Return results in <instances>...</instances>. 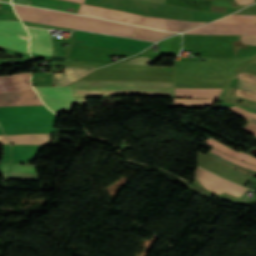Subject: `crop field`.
<instances>
[{
	"mask_svg": "<svg viewBox=\"0 0 256 256\" xmlns=\"http://www.w3.org/2000/svg\"><path fill=\"white\" fill-rule=\"evenodd\" d=\"M21 20L130 37L134 26L97 18L13 5Z\"/></svg>",
	"mask_w": 256,
	"mask_h": 256,
	"instance_id": "obj_1",
	"label": "crop field"
},
{
	"mask_svg": "<svg viewBox=\"0 0 256 256\" xmlns=\"http://www.w3.org/2000/svg\"><path fill=\"white\" fill-rule=\"evenodd\" d=\"M70 85L74 97H99L122 94L168 97H173L174 95V83L166 82L77 81Z\"/></svg>",
	"mask_w": 256,
	"mask_h": 256,
	"instance_id": "obj_2",
	"label": "crop field"
},
{
	"mask_svg": "<svg viewBox=\"0 0 256 256\" xmlns=\"http://www.w3.org/2000/svg\"><path fill=\"white\" fill-rule=\"evenodd\" d=\"M78 14L97 16L113 21L130 23L174 32H181L189 28L203 24L201 22L171 21L165 19L152 18L143 15L104 9L83 4L80 5Z\"/></svg>",
	"mask_w": 256,
	"mask_h": 256,
	"instance_id": "obj_3",
	"label": "crop field"
},
{
	"mask_svg": "<svg viewBox=\"0 0 256 256\" xmlns=\"http://www.w3.org/2000/svg\"><path fill=\"white\" fill-rule=\"evenodd\" d=\"M30 73L11 74L2 77L18 106L43 105L31 86ZM2 79L0 77V107L17 106Z\"/></svg>",
	"mask_w": 256,
	"mask_h": 256,
	"instance_id": "obj_4",
	"label": "crop field"
},
{
	"mask_svg": "<svg viewBox=\"0 0 256 256\" xmlns=\"http://www.w3.org/2000/svg\"><path fill=\"white\" fill-rule=\"evenodd\" d=\"M75 35L96 38V39H102V40H108V41L127 43V44H133V45H139V46H145V47H149L152 44H154L152 42H147V41H140V40L107 36V35L81 32V31H76ZM78 36H75L73 45L96 46V47L128 51V52H135V53H139L143 49H145V47H139V46H133V45H127V44H121V43H115V42H108V41H102V40H96V39H90V38H84V37H78Z\"/></svg>",
	"mask_w": 256,
	"mask_h": 256,
	"instance_id": "obj_5",
	"label": "crop field"
},
{
	"mask_svg": "<svg viewBox=\"0 0 256 256\" xmlns=\"http://www.w3.org/2000/svg\"><path fill=\"white\" fill-rule=\"evenodd\" d=\"M41 100L55 113L70 112L72 105L86 104L85 99H73L70 86L35 88Z\"/></svg>",
	"mask_w": 256,
	"mask_h": 256,
	"instance_id": "obj_6",
	"label": "crop field"
},
{
	"mask_svg": "<svg viewBox=\"0 0 256 256\" xmlns=\"http://www.w3.org/2000/svg\"><path fill=\"white\" fill-rule=\"evenodd\" d=\"M29 34L21 22L0 21V45L28 52Z\"/></svg>",
	"mask_w": 256,
	"mask_h": 256,
	"instance_id": "obj_7",
	"label": "crop field"
},
{
	"mask_svg": "<svg viewBox=\"0 0 256 256\" xmlns=\"http://www.w3.org/2000/svg\"><path fill=\"white\" fill-rule=\"evenodd\" d=\"M197 179L209 190L221 194L223 191L240 197L248 188L236 185L232 182L217 177L198 167Z\"/></svg>",
	"mask_w": 256,
	"mask_h": 256,
	"instance_id": "obj_8",
	"label": "crop field"
},
{
	"mask_svg": "<svg viewBox=\"0 0 256 256\" xmlns=\"http://www.w3.org/2000/svg\"><path fill=\"white\" fill-rule=\"evenodd\" d=\"M190 34H248L256 35V24L211 23L191 30Z\"/></svg>",
	"mask_w": 256,
	"mask_h": 256,
	"instance_id": "obj_9",
	"label": "crop field"
},
{
	"mask_svg": "<svg viewBox=\"0 0 256 256\" xmlns=\"http://www.w3.org/2000/svg\"><path fill=\"white\" fill-rule=\"evenodd\" d=\"M31 35L30 51L43 55L52 54V41L48 30L27 28Z\"/></svg>",
	"mask_w": 256,
	"mask_h": 256,
	"instance_id": "obj_10",
	"label": "crop field"
},
{
	"mask_svg": "<svg viewBox=\"0 0 256 256\" xmlns=\"http://www.w3.org/2000/svg\"><path fill=\"white\" fill-rule=\"evenodd\" d=\"M94 69L66 68L64 74L54 73V86H62L74 82Z\"/></svg>",
	"mask_w": 256,
	"mask_h": 256,
	"instance_id": "obj_11",
	"label": "crop field"
},
{
	"mask_svg": "<svg viewBox=\"0 0 256 256\" xmlns=\"http://www.w3.org/2000/svg\"><path fill=\"white\" fill-rule=\"evenodd\" d=\"M221 89L176 88L175 97L217 98Z\"/></svg>",
	"mask_w": 256,
	"mask_h": 256,
	"instance_id": "obj_12",
	"label": "crop field"
},
{
	"mask_svg": "<svg viewBox=\"0 0 256 256\" xmlns=\"http://www.w3.org/2000/svg\"><path fill=\"white\" fill-rule=\"evenodd\" d=\"M50 134L6 135L12 144H47Z\"/></svg>",
	"mask_w": 256,
	"mask_h": 256,
	"instance_id": "obj_13",
	"label": "crop field"
},
{
	"mask_svg": "<svg viewBox=\"0 0 256 256\" xmlns=\"http://www.w3.org/2000/svg\"><path fill=\"white\" fill-rule=\"evenodd\" d=\"M173 34L175 33L136 27L131 37L144 39V40L158 41L164 37H167Z\"/></svg>",
	"mask_w": 256,
	"mask_h": 256,
	"instance_id": "obj_14",
	"label": "crop field"
},
{
	"mask_svg": "<svg viewBox=\"0 0 256 256\" xmlns=\"http://www.w3.org/2000/svg\"><path fill=\"white\" fill-rule=\"evenodd\" d=\"M205 143L213 146L214 148L230 155V156H233V157H236V158H239V159H242L244 161H247V162H250L252 164H256V158L254 157H251V156H248V155H245L243 153H240V152H235L234 150L226 147L225 145L213 140V139H209L207 140Z\"/></svg>",
	"mask_w": 256,
	"mask_h": 256,
	"instance_id": "obj_15",
	"label": "crop field"
},
{
	"mask_svg": "<svg viewBox=\"0 0 256 256\" xmlns=\"http://www.w3.org/2000/svg\"><path fill=\"white\" fill-rule=\"evenodd\" d=\"M215 99H175L173 106L178 107H195L208 106L213 103Z\"/></svg>",
	"mask_w": 256,
	"mask_h": 256,
	"instance_id": "obj_16",
	"label": "crop field"
},
{
	"mask_svg": "<svg viewBox=\"0 0 256 256\" xmlns=\"http://www.w3.org/2000/svg\"><path fill=\"white\" fill-rule=\"evenodd\" d=\"M215 22L226 23H256V15H230Z\"/></svg>",
	"mask_w": 256,
	"mask_h": 256,
	"instance_id": "obj_17",
	"label": "crop field"
},
{
	"mask_svg": "<svg viewBox=\"0 0 256 256\" xmlns=\"http://www.w3.org/2000/svg\"><path fill=\"white\" fill-rule=\"evenodd\" d=\"M206 155H208V156H210V157H212V158H214V159H216V160H218V161H220V162H222L226 165H229V166H231V167H233V168H235L239 171L245 172L247 174H250V175H253V176L256 177V171H253V170L247 169L245 167L239 166L235 163L229 162V161H227V160H225V159H223V158H221V157H219V156H217V155H215L211 152L207 153Z\"/></svg>",
	"mask_w": 256,
	"mask_h": 256,
	"instance_id": "obj_18",
	"label": "crop field"
},
{
	"mask_svg": "<svg viewBox=\"0 0 256 256\" xmlns=\"http://www.w3.org/2000/svg\"><path fill=\"white\" fill-rule=\"evenodd\" d=\"M211 152H213V153H215V154H217V155H219V156H221V157H223V158H225V159H227V160H230V161H232V162H235V163H237V164H239V165H242V166H245V167H247V168L256 170V166H255V165H252V164L247 163V162H244V161H242V160H239V159L230 157V156H228V155H226V154H224V153H222V152H220V151H218V150H216V149H214V148L211 150Z\"/></svg>",
	"mask_w": 256,
	"mask_h": 256,
	"instance_id": "obj_19",
	"label": "crop field"
},
{
	"mask_svg": "<svg viewBox=\"0 0 256 256\" xmlns=\"http://www.w3.org/2000/svg\"><path fill=\"white\" fill-rule=\"evenodd\" d=\"M8 179L39 181L38 174H30V173H13V172H10Z\"/></svg>",
	"mask_w": 256,
	"mask_h": 256,
	"instance_id": "obj_20",
	"label": "crop field"
},
{
	"mask_svg": "<svg viewBox=\"0 0 256 256\" xmlns=\"http://www.w3.org/2000/svg\"><path fill=\"white\" fill-rule=\"evenodd\" d=\"M228 109L238 113L237 115H239V116H241V117H243V118H245L249 121H250L251 118L256 119V114H253V113H251V112H249V111H247V110H245V109H243L239 106L230 107ZM253 119H251V122L256 123V120H253Z\"/></svg>",
	"mask_w": 256,
	"mask_h": 256,
	"instance_id": "obj_21",
	"label": "crop field"
},
{
	"mask_svg": "<svg viewBox=\"0 0 256 256\" xmlns=\"http://www.w3.org/2000/svg\"><path fill=\"white\" fill-rule=\"evenodd\" d=\"M9 171H13V172H31V173H36V166H33V165H15V164H12Z\"/></svg>",
	"mask_w": 256,
	"mask_h": 256,
	"instance_id": "obj_22",
	"label": "crop field"
},
{
	"mask_svg": "<svg viewBox=\"0 0 256 256\" xmlns=\"http://www.w3.org/2000/svg\"><path fill=\"white\" fill-rule=\"evenodd\" d=\"M126 64H140V65H151L154 62L152 60H150L148 57H138L135 59H132L130 61L127 62H123Z\"/></svg>",
	"mask_w": 256,
	"mask_h": 256,
	"instance_id": "obj_23",
	"label": "crop field"
},
{
	"mask_svg": "<svg viewBox=\"0 0 256 256\" xmlns=\"http://www.w3.org/2000/svg\"><path fill=\"white\" fill-rule=\"evenodd\" d=\"M237 88L245 90V91H249V92H252V93H256V85H253V84L241 81V80L239 81V84H238Z\"/></svg>",
	"mask_w": 256,
	"mask_h": 256,
	"instance_id": "obj_24",
	"label": "crop field"
},
{
	"mask_svg": "<svg viewBox=\"0 0 256 256\" xmlns=\"http://www.w3.org/2000/svg\"><path fill=\"white\" fill-rule=\"evenodd\" d=\"M235 94L238 95V96L256 101V94H252V93L245 92V91L238 90V89L236 90Z\"/></svg>",
	"mask_w": 256,
	"mask_h": 256,
	"instance_id": "obj_25",
	"label": "crop field"
},
{
	"mask_svg": "<svg viewBox=\"0 0 256 256\" xmlns=\"http://www.w3.org/2000/svg\"><path fill=\"white\" fill-rule=\"evenodd\" d=\"M239 77L241 80L256 84V76L247 74V73H240Z\"/></svg>",
	"mask_w": 256,
	"mask_h": 256,
	"instance_id": "obj_26",
	"label": "crop field"
},
{
	"mask_svg": "<svg viewBox=\"0 0 256 256\" xmlns=\"http://www.w3.org/2000/svg\"><path fill=\"white\" fill-rule=\"evenodd\" d=\"M242 42H243L244 44H253V45H256V36L242 35Z\"/></svg>",
	"mask_w": 256,
	"mask_h": 256,
	"instance_id": "obj_27",
	"label": "crop field"
},
{
	"mask_svg": "<svg viewBox=\"0 0 256 256\" xmlns=\"http://www.w3.org/2000/svg\"><path fill=\"white\" fill-rule=\"evenodd\" d=\"M243 130L252 135H256V124L249 122Z\"/></svg>",
	"mask_w": 256,
	"mask_h": 256,
	"instance_id": "obj_28",
	"label": "crop field"
},
{
	"mask_svg": "<svg viewBox=\"0 0 256 256\" xmlns=\"http://www.w3.org/2000/svg\"><path fill=\"white\" fill-rule=\"evenodd\" d=\"M239 5H248L252 2H254V0H235Z\"/></svg>",
	"mask_w": 256,
	"mask_h": 256,
	"instance_id": "obj_29",
	"label": "crop field"
},
{
	"mask_svg": "<svg viewBox=\"0 0 256 256\" xmlns=\"http://www.w3.org/2000/svg\"><path fill=\"white\" fill-rule=\"evenodd\" d=\"M13 3L27 4L30 5V0H12Z\"/></svg>",
	"mask_w": 256,
	"mask_h": 256,
	"instance_id": "obj_30",
	"label": "crop field"
},
{
	"mask_svg": "<svg viewBox=\"0 0 256 256\" xmlns=\"http://www.w3.org/2000/svg\"><path fill=\"white\" fill-rule=\"evenodd\" d=\"M10 164L1 163L0 170L1 171H8Z\"/></svg>",
	"mask_w": 256,
	"mask_h": 256,
	"instance_id": "obj_31",
	"label": "crop field"
},
{
	"mask_svg": "<svg viewBox=\"0 0 256 256\" xmlns=\"http://www.w3.org/2000/svg\"><path fill=\"white\" fill-rule=\"evenodd\" d=\"M0 143H1V144H10V143L7 141L5 135H0Z\"/></svg>",
	"mask_w": 256,
	"mask_h": 256,
	"instance_id": "obj_32",
	"label": "crop field"
},
{
	"mask_svg": "<svg viewBox=\"0 0 256 256\" xmlns=\"http://www.w3.org/2000/svg\"><path fill=\"white\" fill-rule=\"evenodd\" d=\"M1 173H2L3 177L7 179V173L8 172H1Z\"/></svg>",
	"mask_w": 256,
	"mask_h": 256,
	"instance_id": "obj_33",
	"label": "crop field"
},
{
	"mask_svg": "<svg viewBox=\"0 0 256 256\" xmlns=\"http://www.w3.org/2000/svg\"><path fill=\"white\" fill-rule=\"evenodd\" d=\"M68 1H74V2H80V3L84 2V0H68Z\"/></svg>",
	"mask_w": 256,
	"mask_h": 256,
	"instance_id": "obj_34",
	"label": "crop field"
},
{
	"mask_svg": "<svg viewBox=\"0 0 256 256\" xmlns=\"http://www.w3.org/2000/svg\"><path fill=\"white\" fill-rule=\"evenodd\" d=\"M0 1H6V2H11V0H0Z\"/></svg>",
	"mask_w": 256,
	"mask_h": 256,
	"instance_id": "obj_35",
	"label": "crop field"
},
{
	"mask_svg": "<svg viewBox=\"0 0 256 256\" xmlns=\"http://www.w3.org/2000/svg\"><path fill=\"white\" fill-rule=\"evenodd\" d=\"M0 134H3V132H2V130H1V128H0Z\"/></svg>",
	"mask_w": 256,
	"mask_h": 256,
	"instance_id": "obj_36",
	"label": "crop field"
},
{
	"mask_svg": "<svg viewBox=\"0 0 256 256\" xmlns=\"http://www.w3.org/2000/svg\"><path fill=\"white\" fill-rule=\"evenodd\" d=\"M255 138H256V136H255Z\"/></svg>",
	"mask_w": 256,
	"mask_h": 256,
	"instance_id": "obj_37",
	"label": "crop field"
}]
</instances>
